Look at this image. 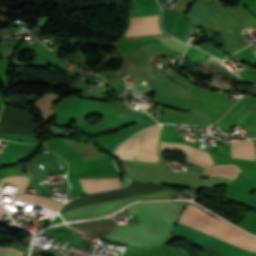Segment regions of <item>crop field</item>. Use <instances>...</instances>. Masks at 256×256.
Instances as JSON below:
<instances>
[{
    "label": "crop field",
    "mask_w": 256,
    "mask_h": 256,
    "mask_svg": "<svg viewBox=\"0 0 256 256\" xmlns=\"http://www.w3.org/2000/svg\"><path fill=\"white\" fill-rule=\"evenodd\" d=\"M239 171V168L233 165L204 167V175L222 176L233 180L238 175Z\"/></svg>",
    "instance_id": "crop-field-9"
},
{
    "label": "crop field",
    "mask_w": 256,
    "mask_h": 256,
    "mask_svg": "<svg viewBox=\"0 0 256 256\" xmlns=\"http://www.w3.org/2000/svg\"><path fill=\"white\" fill-rule=\"evenodd\" d=\"M232 158L255 160V149L252 141L232 142Z\"/></svg>",
    "instance_id": "crop-field-8"
},
{
    "label": "crop field",
    "mask_w": 256,
    "mask_h": 256,
    "mask_svg": "<svg viewBox=\"0 0 256 256\" xmlns=\"http://www.w3.org/2000/svg\"><path fill=\"white\" fill-rule=\"evenodd\" d=\"M116 223L112 219H101L94 221L79 222L70 226L89 235H96L103 238L107 235Z\"/></svg>",
    "instance_id": "crop-field-6"
},
{
    "label": "crop field",
    "mask_w": 256,
    "mask_h": 256,
    "mask_svg": "<svg viewBox=\"0 0 256 256\" xmlns=\"http://www.w3.org/2000/svg\"><path fill=\"white\" fill-rule=\"evenodd\" d=\"M182 1H186V0H182Z\"/></svg>",
    "instance_id": "crop-field-17"
},
{
    "label": "crop field",
    "mask_w": 256,
    "mask_h": 256,
    "mask_svg": "<svg viewBox=\"0 0 256 256\" xmlns=\"http://www.w3.org/2000/svg\"><path fill=\"white\" fill-rule=\"evenodd\" d=\"M254 51V55H255V58H256V49L255 50H253Z\"/></svg>",
    "instance_id": "crop-field-16"
},
{
    "label": "crop field",
    "mask_w": 256,
    "mask_h": 256,
    "mask_svg": "<svg viewBox=\"0 0 256 256\" xmlns=\"http://www.w3.org/2000/svg\"><path fill=\"white\" fill-rule=\"evenodd\" d=\"M160 42L182 54H184V52L186 51V49L188 48L189 45L178 41L176 39H159Z\"/></svg>",
    "instance_id": "crop-field-12"
},
{
    "label": "crop field",
    "mask_w": 256,
    "mask_h": 256,
    "mask_svg": "<svg viewBox=\"0 0 256 256\" xmlns=\"http://www.w3.org/2000/svg\"><path fill=\"white\" fill-rule=\"evenodd\" d=\"M5 214H6V212L3 211V210L0 208V216H1V215H5ZM0 221H1V217H0Z\"/></svg>",
    "instance_id": "crop-field-14"
},
{
    "label": "crop field",
    "mask_w": 256,
    "mask_h": 256,
    "mask_svg": "<svg viewBox=\"0 0 256 256\" xmlns=\"http://www.w3.org/2000/svg\"><path fill=\"white\" fill-rule=\"evenodd\" d=\"M85 193L119 187V179H80Z\"/></svg>",
    "instance_id": "crop-field-7"
},
{
    "label": "crop field",
    "mask_w": 256,
    "mask_h": 256,
    "mask_svg": "<svg viewBox=\"0 0 256 256\" xmlns=\"http://www.w3.org/2000/svg\"><path fill=\"white\" fill-rule=\"evenodd\" d=\"M162 33L158 26V15L130 18V27L124 36ZM166 37V36H160ZM137 36L123 37V39H136Z\"/></svg>",
    "instance_id": "crop-field-4"
},
{
    "label": "crop field",
    "mask_w": 256,
    "mask_h": 256,
    "mask_svg": "<svg viewBox=\"0 0 256 256\" xmlns=\"http://www.w3.org/2000/svg\"><path fill=\"white\" fill-rule=\"evenodd\" d=\"M0 182L20 187L17 193L15 194L16 196L24 192L29 183V178L26 176H10L8 178L0 179Z\"/></svg>",
    "instance_id": "crop-field-11"
},
{
    "label": "crop field",
    "mask_w": 256,
    "mask_h": 256,
    "mask_svg": "<svg viewBox=\"0 0 256 256\" xmlns=\"http://www.w3.org/2000/svg\"><path fill=\"white\" fill-rule=\"evenodd\" d=\"M165 150H181L187 154L186 161L192 162L199 166H210L213 165V162L209 154L194 149L186 144H175V143H165L161 142V151Z\"/></svg>",
    "instance_id": "crop-field-5"
},
{
    "label": "crop field",
    "mask_w": 256,
    "mask_h": 256,
    "mask_svg": "<svg viewBox=\"0 0 256 256\" xmlns=\"http://www.w3.org/2000/svg\"><path fill=\"white\" fill-rule=\"evenodd\" d=\"M22 252L12 248L0 247V256H22Z\"/></svg>",
    "instance_id": "crop-field-13"
},
{
    "label": "crop field",
    "mask_w": 256,
    "mask_h": 256,
    "mask_svg": "<svg viewBox=\"0 0 256 256\" xmlns=\"http://www.w3.org/2000/svg\"><path fill=\"white\" fill-rule=\"evenodd\" d=\"M158 1H160V2H167L168 0H158Z\"/></svg>",
    "instance_id": "crop-field-15"
},
{
    "label": "crop field",
    "mask_w": 256,
    "mask_h": 256,
    "mask_svg": "<svg viewBox=\"0 0 256 256\" xmlns=\"http://www.w3.org/2000/svg\"><path fill=\"white\" fill-rule=\"evenodd\" d=\"M160 126L151 127L142 131L126 143H124L120 148H118L115 156L120 159L136 160L137 143H138V153L137 160L156 162L158 158L156 156V146L158 141Z\"/></svg>",
    "instance_id": "crop-field-2"
},
{
    "label": "crop field",
    "mask_w": 256,
    "mask_h": 256,
    "mask_svg": "<svg viewBox=\"0 0 256 256\" xmlns=\"http://www.w3.org/2000/svg\"><path fill=\"white\" fill-rule=\"evenodd\" d=\"M18 198L24 199L26 201L32 202L34 204L38 203L40 205L46 206L48 208L54 209V210H58L62 204L55 202L53 200H50L48 198H43V197H38L32 194H21L19 196H17Z\"/></svg>",
    "instance_id": "crop-field-10"
},
{
    "label": "crop field",
    "mask_w": 256,
    "mask_h": 256,
    "mask_svg": "<svg viewBox=\"0 0 256 256\" xmlns=\"http://www.w3.org/2000/svg\"><path fill=\"white\" fill-rule=\"evenodd\" d=\"M178 222L241 249L256 253V238L232 228L193 205L188 204Z\"/></svg>",
    "instance_id": "crop-field-1"
},
{
    "label": "crop field",
    "mask_w": 256,
    "mask_h": 256,
    "mask_svg": "<svg viewBox=\"0 0 256 256\" xmlns=\"http://www.w3.org/2000/svg\"><path fill=\"white\" fill-rule=\"evenodd\" d=\"M34 129L28 110L4 106L0 114V132L37 136Z\"/></svg>",
    "instance_id": "crop-field-3"
}]
</instances>
